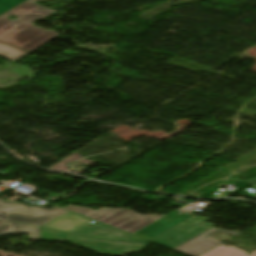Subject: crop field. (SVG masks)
I'll return each instance as SVG.
<instances>
[{
    "label": "crop field",
    "mask_w": 256,
    "mask_h": 256,
    "mask_svg": "<svg viewBox=\"0 0 256 256\" xmlns=\"http://www.w3.org/2000/svg\"><path fill=\"white\" fill-rule=\"evenodd\" d=\"M64 208L69 209L78 214L87 216L89 218L101 221L103 223L109 224L124 231L134 227L135 225L145 221L146 219L152 216L139 215L130 210L125 209L102 208L98 211H94L86 207L79 208L72 205H69Z\"/></svg>",
    "instance_id": "crop-field-3"
},
{
    "label": "crop field",
    "mask_w": 256,
    "mask_h": 256,
    "mask_svg": "<svg viewBox=\"0 0 256 256\" xmlns=\"http://www.w3.org/2000/svg\"><path fill=\"white\" fill-rule=\"evenodd\" d=\"M76 234L107 238L113 240H124V241H147L130 233L116 229L109 225L98 222L91 226L80 229Z\"/></svg>",
    "instance_id": "crop-field-6"
},
{
    "label": "crop field",
    "mask_w": 256,
    "mask_h": 256,
    "mask_svg": "<svg viewBox=\"0 0 256 256\" xmlns=\"http://www.w3.org/2000/svg\"><path fill=\"white\" fill-rule=\"evenodd\" d=\"M66 212L68 211L57 207L47 210L41 207L27 206L22 203L12 204L0 199V219L5 221L11 220L40 227Z\"/></svg>",
    "instance_id": "crop-field-2"
},
{
    "label": "crop field",
    "mask_w": 256,
    "mask_h": 256,
    "mask_svg": "<svg viewBox=\"0 0 256 256\" xmlns=\"http://www.w3.org/2000/svg\"><path fill=\"white\" fill-rule=\"evenodd\" d=\"M27 53L28 52L26 51L20 50L18 48L0 42V55L8 59L15 61Z\"/></svg>",
    "instance_id": "crop-field-10"
},
{
    "label": "crop field",
    "mask_w": 256,
    "mask_h": 256,
    "mask_svg": "<svg viewBox=\"0 0 256 256\" xmlns=\"http://www.w3.org/2000/svg\"><path fill=\"white\" fill-rule=\"evenodd\" d=\"M35 1L36 0H27L0 16L1 42L31 52L59 35L54 30L45 31L31 23L55 12L49 8H45L34 3ZM11 15L18 16V20L11 21L7 19ZM24 22H27V24H24ZM14 24L17 25L14 26Z\"/></svg>",
    "instance_id": "crop-field-1"
},
{
    "label": "crop field",
    "mask_w": 256,
    "mask_h": 256,
    "mask_svg": "<svg viewBox=\"0 0 256 256\" xmlns=\"http://www.w3.org/2000/svg\"><path fill=\"white\" fill-rule=\"evenodd\" d=\"M3 223H5V221H1V220H0V225L3 224Z\"/></svg>",
    "instance_id": "crop-field-13"
},
{
    "label": "crop field",
    "mask_w": 256,
    "mask_h": 256,
    "mask_svg": "<svg viewBox=\"0 0 256 256\" xmlns=\"http://www.w3.org/2000/svg\"><path fill=\"white\" fill-rule=\"evenodd\" d=\"M72 243L107 255H126L143 249L147 243L114 242L72 235Z\"/></svg>",
    "instance_id": "crop-field-4"
},
{
    "label": "crop field",
    "mask_w": 256,
    "mask_h": 256,
    "mask_svg": "<svg viewBox=\"0 0 256 256\" xmlns=\"http://www.w3.org/2000/svg\"><path fill=\"white\" fill-rule=\"evenodd\" d=\"M14 233H30V239L41 240L40 230L37 227L8 222L0 227V235Z\"/></svg>",
    "instance_id": "crop-field-8"
},
{
    "label": "crop field",
    "mask_w": 256,
    "mask_h": 256,
    "mask_svg": "<svg viewBox=\"0 0 256 256\" xmlns=\"http://www.w3.org/2000/svg\"><path fill=\"white\" fill-rule=\"evenodd\" d=\"M41 235H42V240L61 241V242H67V237H68V234L52 232V231H47L42 229H41ZM51 235H55V236L51 237Z\"/></svg>",
    "instance_id": "crop-field-11"
},
{
    "label": "crop field",
    "mask_w": 256,
    "mask_h": 256,
    "mask_svg": "<svg viewBox=\"0 0 256 256\" xmlns=\"http://www.w3.org/2000/svg\"><path fill=\"white\" fill-rule=\"evenodd\" d=\"M201 256H248L247 253L235 248V247H226L218 246ZM250 256H256V251L251 253Z\"/></svg>",
    "instance_id": "crop-field-9"
},
{
    "label": "crop field",
    "mask_w": 256,
    "mask_h": 256,
    "mask_svg": "<svg viewBox=\"0 0 256 256\" xmlns=\"http://www.w3.org/2000/svg\"><path fill=\"white\" fill-rule=\"evenodd\" d=\"M217 232H225L233 235H236L237 233H239V231H225V230H219L213 227L205 231L204 233L194 237L193 239L185 242L184 244L176 247L175 249L180 250L192 256H198L220 245V243L209 240V237Z\"/></svg>",
    "instance_id": "crop-field-5"
},
{
    "label": "crop field",
    "mask_w": 256,
    "mask_h": 256,
    "mask_svg": "<svg viewBox=\"0 0 256 256\" xmlns=\"http://www.w3.org/2000/svg\"><path fill=\"white\" fill-rule=\"evenodd\" d=\"M25 0H0V15L24 2Z\"/></svg>",
    "instance_id": "crop-field-12"
},
{
    "label": "crop field",
    "mask_w": 256,
    "mask_h": 256,
    "mask_svg": "<svg viewBox=\"0 0 256 256\" xmlns=\"http://www.w3.org/2000/svg\"><path fill=\"white\" fill-rule=\"evenodd\" d=\"M90 221L92 220L68 212L48 222L42 228L72 233L77 228L90 224Z\"/></svg>",
    "instance_id": "crop-field-7"
}]
</instances>
